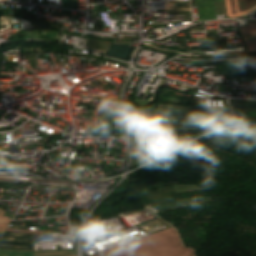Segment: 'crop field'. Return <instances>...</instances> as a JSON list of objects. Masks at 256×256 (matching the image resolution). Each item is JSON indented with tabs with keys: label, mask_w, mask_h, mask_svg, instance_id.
Listing matches in <instances>:
<instances>
[{
	"label": "crop field",
	"mask_w": 256,
	"mask_h": 256,
	"mask_svg": "<svg viewBox=\"0 0 256 256\" xmlns=\"http://www.w3.org/2000/svg\"><path fill=\"white\" fill-rule=\"evenodd\" d=\"M91 256H193L170 227Z\"/></svg>",
	"instance_id": "crop-field-1"
},
{
	"label": "crop field",
	"mask_w": 256,
	"mask_h": 256,
	"mask_svg": "<svg viewBox=\"0 0 256 256\" xmlns=\"http://www.w3.org/2000/svg\"><path fill=\"white\" fill-rule=\"evenodd\" d=\"M227 18H234L256 10V0H225Z\"/></svg>",
	"instance_id": "crop-field-2"
},
{
	"label": "crop field",
	"mask_w": 256,
	"mask_h": 256,
	"mask_svg": "<svg viewBox=\"0 0 256 256\" xmlns=\"http://www.w3.org/2000/svg\"><path fill=\"white\" fill-rule=\"evenodd\" d=\"M248 27L239 28L247 45L248 53H256V23L247 22Z\"/></svg>",
	"instance_id": "crop-field-3"
},
{
	"label": "crop field",
	"mask_w": 256,
	"mask_h": 256,
	"mask_svg": "<svg viewBox=\"0 0 256 256\" xmlns=\"http://www.w3.org/2000/svg\"><path fill=\"white\" fill-rule=\"evenodd\" d=\"M0 239L20 241V242H33V234H19V233L4 232V234L1 236Z\"/></svg>",
	"instance_id": "crop-field-4"
},
{
	"label": "crop field",
	"mask_w": 256,
	"mask_h": 256,
	"mask_svg": "<svg viewBox=\"0 0 256 256\" xmlns=\"http://www.w3.org/2000/svg\"><path fill=\"white\" fill-rule=\"evenodd\" d=\"M190 11L189 3L166 1L165 12Z\"/></svg>",
	"instance_id": "crop-field-5"
},
{
	"label": "crop field",
	"mask_w": 256,
	"mask_h": 256,
	"mask_svg": "<svg viewBox=\"0 0 256 256\" xmlns=\"http://www.w3.org/2000/svg\"><path fill=\"white\" fill-rule=\"evenodd\" d=\"M0 256H33V252L0 250Z\"/></svg>",
	"instance_id": "crop-field-6"
},
{
	"label": "crop field",
	"mask_w": 256,
	"mask_h": 256,
	"mask_svg": "<svg viewBox=\"0 0 256 256\" xmlns=\"http://www.w3.org/2000/svg\"><path fill=\"white\" fill-rule=\"evenodd\" d=\"M4 210H0V232L3 233L5 228L8 226L11 218H7L2 216L4 214Z\"/></svg>",
	"instance_id": "crop-field-7"
},
{
	"label": "crop field",
	"mask_w": 256,
	"mask_h": 256,
	"mask_svg": "<svg viewBox=\"0 0 256 256\" xmlns=\"http://www.w3.org/2000/svg\"><path fill=\"white\" fill-rule=\"evenodd\" d=\"M0 249L33 251V248H27V247H12V246H5V245H0Z\"/></svg>",
	"instance_id": "crop-field-8"
},
{
	"label": "crop field",
	"mask_w": 256,
	"mask_h": 256,
	"mask_svg": "<svg viewBox=\"0 0 256 256\" xmlns=\"http://www.w3.org/2000/svg\"><path fill=\"white\" fill-rule=\"evenodd\" d=\"M214 119H203V120H176V123H188V122H199V121H211Z\"/></svg>",
	"instance_id": "crop-field-9"
},
{
	"label": "crop field",
	"mask_w": 256,
	"mask_h": 256,
	"mask_svg": "<svg viewBox=\"0 0 256 256\" xmlns=\"http://www.w3.org/2000/svg\"><path fill=\"white\" fill-rule=\"evenodd\" d=\"M7 231L20 232V233H44L43 231H21V230H15V229H10V228H8Z\"/></svg>",
	"instance_id": "crop-field-10"
},
{
	"label": "crop field",
	"mask_w": 256,
	"mask_h": 256,
	"mask_svg": "<svg viewBox=\"0 0 256 256\" xmlns=\"http://www.w3.org/2000/svg\"><path fill=\"white\" fill-rule=\"evenodd\" d=\"M241 59H252V60H256V57L241 58Z\"/></svg>",
	"instance_id": "crop-field-11"
},
{
	"label": "crop field",
	"mask_w": 256,
	"mask_h": 256,
	"mask_svg": "<svg viewBox=\"0 0 256 256\" xmlns=\"http://www.w3.org/2000/svg\"><path fill=\"white\" fill-rule=\"evenodd\" d=\"M246 65H250V64H246ZM250 66H256V65H250Z\"/></svg>",
	"instance_id": "crop-field-12"
}]
</instances>
